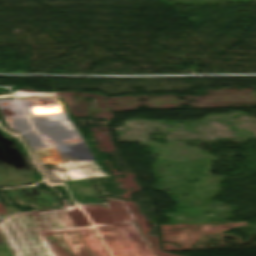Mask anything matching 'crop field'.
Returning a JSON list of instances; mask_svg holds the SVG:
<instances>
[{
  "label": "crop field",
  "mask_w": 256,
  "mask_h": 256,
  "mask_svg": "<svg viewBox=\"0 0 256 256\" xmlns=\"http://www.w3.org/2000/svg\"><path fill=\"white\" fill-rule=\"evenodd\" d=\"M0 256H12L4 241L0 237Z\"/></svg>",
  "instance_id": "dd49c442"
},
{
  "label": "crop field",
  "mask_w": 256,
  "mask_h": 256,
  "mask_svg": "<svg viewBox=\"0 0 256 256\" xmlns=\"http://www.w3.org/2000/svg\"><path fill=\"white\" fill-rule=\"evenodd\" d=\"M126 227L129 230L132 237L134 238L135 242L137 243V245L140 248L143 255L144 256H153L152 252L150 251L146 242L142 238V236L139 233L138 229L136 228L135 224L126 225Z\"/></svg>",
  "instance_id": "f4fd0767"
},
{
  "label": "crop field",
  "mask_w": 256,
  "mask_h": 256,
  "mask_svg": "<svg viewBox=\"0 0 256 256\" xmlns=\"http://www.w3.org/2000/svg\"><path fill=\"white\" fill-rule=\"evenodd\" d=\"M77 203L102 202L90 179L65 182Z\"/></svg>",
  "instance_id": "412701ff"
},
{
  "label": "crop field",
  "mask_w": 256,
  "mask_h": 256,
  "mask_svg": "<svg viewBox=\"0 0 256 256\" xmlns=\"http://www.w3.org/2000/svg\"><path fill=\"white\" fill-rule=\"evenodd\" d=\"M98 231L112 256H143L125 225L102 227Z\"/></svg>",
  "instance_id": "34b2d1b8"
},
{
  "label": "crop field",
  "mask_w": 256,
  "mask_h": 256,
  "mask_svg": "<svg viewBox=\"0 0 256 256\" xmlns=\"http://www.w3.org/2000/svg\"><path fill=\"white\" fill-rule=\"evenodd\" d=\"M71 221L64 208L11 216L0 222V231L15 254L47 251L50 248L42 233L76 229Z\"/></svg>",
  "instance_id": "8a807250"
},
{
  "label": "crop field",
  "mask_w": 256,
  "mask_h": 256,
  "mask_svg": "<svg viewBox=\"0 0 256 256\" xmlns=\"http://www.w3.org/2000/svg\"><path fill=\"white\" fill-rule=\"evenodd\" d=\"M16 256H55L52 251L47 252H38V253H28V254H19Z\"/></svg>",
  "instance_id": "e52e79f7"
},
{
  "label": "crop field",
  "mask_w": 256,
  "mask_h": 256,
  "mask_svg": "<svg viewBox=\"0 0 256 256\" xmlns=\"http://www.w3.org/2000/svg\"><path fill=\"white\" fill-rule=\"evenodd\" d=\"M56 256H110L93 228L44 234ZM57 240L58 242H55Z\"/></svg>",
  "instance_id": "ac0d7876"
}]
</instances>
